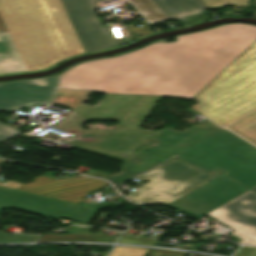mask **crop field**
<instances>
[{
    "mask_svg": "<svg viewBox=\"0 0 256 256\" xmlns=\"http://www.w3.org/2000/svg\"><path fill=\"white\" fill-rule=\"evenodd\" d=\"M80 64L58 88L193 98L256 41V26L228 24Z\"/></svg>",
    "mask_w": 256,
    "mask_h": 256,
    "instance_id": "obj_1",
    "label": "crop field"
},
{
    "mask_svg": "<svg viewBox=\"0 0 256 256\" xmlns=\"http://www.w3.org/2000/svg\"><path fill=\"white\" fill-rule=\"evenodd\" d=\"M86 53L61 0H0V74Z\"/></svg>",
    "mask_w": 256,
    "mask_h": 256,
    "instance_id": "obj_2",
    "label": "crop field"
},
{
    "mask_svg": "<svg viewBox=\"0 0 256 256\" xmlns=\"http://www.w3.org/2000/svg\"><path fill=\"white\" fill-rule=\"evenodd\" d=\"M153 138L155 146L138 152L121 174L106 179L116 184L175 157L207 172L218 169L250 189L256 186V147L227 130L208 123L182 133L164 128Z\"/></svg>",
    "mask_w": 256,
    "mask_h": 256,
    "instance_id": "obj_3",
    "label": "crop field"
},
{
    "mask_svg": "<svg viewBox=\"0 0 256 256\" xmlns=\"http://www.w3.org/2000/svg\"><path fill=\"white\" fill-rule=\"evenodd\" d=\"M193 99L223 127L256 109V42Z\"/></svg>",
    "mask_w": 256,
    "mask_h": 256,
    "instance_id": "obj_4",
    "label": "crop field"
},
{
    "mask_svg": "<svg viewBox=\"0 0 256 256\" xmlns=\"http://www.w3.org/2000/svg\"><path fill=\"white\" fill-rule=\"evenodd\" d=\"M222 174L199 171L174 159L136 178L150 180L127 198L142 206L147 204H168L183 194Z\"/></svg>",
    "mask_w": 256,
    "mask_h": 256,
    "instance_id": "obj_5",
    "label": "crop field"
},
{
    "mask_svg": "<svg viewBox=\"0 0 256 256\" xmlns=\"http://www.w3.org/2000/svg\"><path fill=\"white\" fill-rule=\"evenodd\" d=\"M17 208L57 219L64 218L89 224L96 210L88 207L0 186V211ZM38 236H19L0 232V243L32 242Z\"/></svg>",
    "mask_w": 256,
    "mask_h": 256,
    "instance_id": "obj_6",
    "label": "crop field"
},
{
    "mask_svg": "<svg viewBox=\"0 0 256 256\" xmlns=\"http://www.w3.org/2000/svg\"><path fill=\"white\" fill-rule=\"evenodd\" d=\"M58 76L14 83H0V111H14L20 107L28 109L35 104L44 105L53 97ZM18 133L14 128L0 123V142Z\"/></svg>",
    "mask_w": 256,
    "mask_h": 256,
    "instance_id": "obj_7",
    "label": "crop field"
},
{
    "mask_svg": "<svg viewBox=\"0 0 256 256\" xmlns=\"http://www.w3.org/2000/svg\"><path fill=\"white\" fill-rule=\"evenodd\" d=\"M247 190L222 174L167 206L199 218Z\"/></svg>",
    "mask_w": 256,
    "mask_h": 256,
    "instance_id": "obj_8",
    "label": "crop field"
},
{
    "mask_svg": "<svg viewBox=\"0 0 256 256\" xmlns=\"http://www.w3.org/2000/svg\"><path fill=\"white\" fill-rule=\"evenodd\" d=\"M101 1L62 0L87 53L121 45L111 28L102 27L93 13L96 3Z\"/></svg>",
    "mask_w": 256,
    "mask_h": 256,
    "instance_id": "obj_9",
    "label": "crop field"
},
{
    "mask_svg": "<svg viewBox=\"0 0 256 256\" xmlns=\"http://www.w3.org/2000/svg\"><path fill=\"white\" fill-rule=\"evenodd\" d=\"M232 228V235L243 239L239 243L256 246V194L247 191L206 214Z\"/></svg>",
    "mask_w": 256,
    "mask_h": 256,
    "instance_id": "obj_10",
    "label": "crop field"
},
{
    "mask_svg": "<svg viewBox=\"0 0 256 256\" xmlns=\"http://www.w3.org/2000/svg\"><path fill=\"white\" fill-rule=\"evenodd\" d=\"M148 22L199 12L204 7L234 5L248 7L249 0H130Z\"/></svg>",
    "mask_w": 256,
    "mask_h": 256,
    "instance_id": "obj_11",
    "label": "crop field"
},
{
    "mask_svg": "<svg viewBox=\"0 0 256 256\" xmlns=\"http://www.w3.org/2000/svg\"><path fill=\"white\" fill-rule=\"evenodd\" d=\"M108 185L104 181L85 177L55 181L40 176L33 183L22 185L19 189L78 203L91 190L98 191Z\"/></svg>",
    "mask_w": 256,
    "mask_h": 256,
    "instance_id": "obj_12",
    "label": "crop field"
},
{
    "mask_svg": "<svg viewBox=\"0 0 256 256\" xmlns=\"http://www.w3.org/2000/svg\"><path fill=\"white\" fill-rule=\"evenodd\" d=\"M228 129L256 145V112L228 127Z\"/></svg>",
    "mask_w": 256,
    "mask_h": 256,
    "instance_id": "obj_13",
    "label": "crop field"
},
{
    "mask_svg": "<svg viewBox=\"0 0 256 256\" xmlns=\"http://www.w3.org/2000/svg\"><path fill=\"white\" fill-rule=\"evenodd\" d=\"M116 237L109 236H91V235H64V236H56L45 234L40 237L38 242L45 241H92V242H114Z\"/></svg>",
    "mask_w": 256,
    "mask_h": 256,
    "instance_id": "obj_14",
    "label": "crop field"
},
{
    "mask_svg": "<svg viewBox=\"0 0 256 256\" xmlns=\"http://www.w3.org/2000/svg\"><path fill=\"white\" fill-rule=\"evenodd\" d=\"M150 249L116 246L110 256H145Z\"/></svg>",
    "mask_w": 256,
    "mask_h": 256,
    "instance_id": "obj_15",
    "label": "crop field"
},
{
    "mask_svg": "<svg viewBox=\"0 0 256 256\" xmlns=\"http://www.w3.org/2000/svg\"><path fill=\"white\" fill-rule=\"evenodd\" d=\"M158 240H146V239H128L119 238L118 242L130 243V244H144V245H155Z\"/></svg>",
    "mask_w": 256,
    "mask_h": 256,
    "instance_id": "obj_16",
    "label": "crop field"
},
{
    "mask_svg": "<svg viewBox=\"0 0 256 256\" xmlns=\"http://www.w3.org/2000/svg\"><path fill=\"white\" fill-rule=\"evenodd\" d=\"M254 248L241 247L237 254L248 256Z\"/></svg>",
    "mask_w": 256,
    "mask_h": 256,
    "instance_id": "obj_17",
    "label": "crop field"
},
{
    "mask_svg": "<svg viewBox=\"0 0 256 256\" xmlns=\"http://www.w3.org/2000/svg\"><path fill=\"white\" fill-rule=\"evenodd\" d=\"M251 190H253V191H255V192H256V187H255V188H253V189H251Z\"/></svg>",
    "mask_w": 256,
    "mask_h": 256,
    "instance_id": "obj_18",
    "label": "crop field"
}]
</instances>
